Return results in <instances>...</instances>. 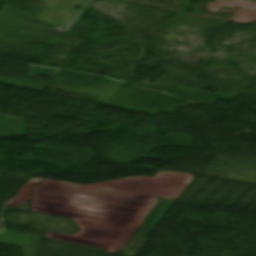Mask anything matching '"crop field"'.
<instances>
[{"label":"crop field","mask_w":256,"mask_h":256,"mask_svg":"<svg viewBox=\"0 0 256 256\" xmlns=\"http://www.w3.org/2000/svg\"><path fill=\"white\" fill-rule=\"evenodd\" d=\"M40 74L46 75L51 78H57L58 70L30 66L28 74L30 77L38 76Z\"/></svg>","instance_id":"1"}]
</instances>
